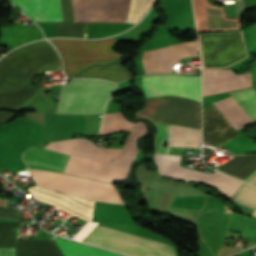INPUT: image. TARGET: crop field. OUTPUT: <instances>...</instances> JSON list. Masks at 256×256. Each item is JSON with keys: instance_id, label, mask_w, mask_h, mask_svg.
<instances>
[{"instance_id": "1", "label": "crop field", "mask_w": 256, "mask_h": 256, "mask_svg": "<svg viewBox=\"0 0 256 256\" xmlns=\"http://www.w3.org/2000/svg\"><path fill=\"white\" fill-rule=\"evenodd\" d=\"M71 155L63 173L110 183L125 178L137 150L136 138H127L122 149H100L77 138L52 142L43 147Z\"/></svg>"}, {"instance_id": "2", "label": "crop field", "mask_w": 256, "mask_h": 256, "mask_svg": "<svg viewBox=\"0 0 256 256\" xmlns=\"http://www.w3.org/2000/svg\"><path fill=\"white\" fill-rule=\"evenodd\" d=\"M40 64L60 65L46 41L20 47L0 60V109L14 110L38 92L30 83Z\"/></svg>"}, {"instance_id": "3", "label": "crop field", "mask_w": 256, "mask_h": 256, "mask_svg": "<svg viewBox=\"0 0 256 256\" xmlns=\"http://www.w3.org/2000/svg\"><path fill=\"white\" fill-rule=\"evenodd\" d=\"M116 84L100 79H72L61 87L56 113H102Z\"/></svg>"}, {"instance_id": "4", "label": "crop field", "mask_w": 256, "mask_h": 256, "mask_svg": "<svg viewBox=\"0 0 256 256\" xmlns=\"http://www.w3.org/2000/svg\"><path fill=\"white\" fill-rule=\"evenodd\" d=\"M62 56L64 70L67 76L72 77L78 70L90 63L107 62L120 58L122 55L112 51L117 43L115 39L101 40H50Z\"/></svg>"}, {"instance_id": "5", "label": "crop field", "mask_w": 256, "mask_h": 256, "mask_svg": "<svg viewBox=\"0 0 256 256\" xmlns=\"http://www.w3.org/2000/svg\"><path fill=\"white\" fill-rule=\"evenodd\" d=\"M37 185L99 201L122 203L114 185L53 172L28 170Z\"/></svg>"}, {"instance_id": "6", "label": "crop field", "mask_w": 256, "mask_h": 256, "mask_svg": "<svg viewBox=\"0 0 256 256\" xmlns=\"http://www.w3.org/2000/svg\"><path fill=\"white\" fill-rule=\"evenodd\" d=\"M84 242L135 256H174L171 245L97 225Z\"/></svg>"}, {"instance_id": "7", "label": "crop field", "mask_w": 256, "mask_h": 256, "mask_svg": "<svg viewBox=\"0 0 256 256\" xmlns=\"http://www.w3.org/2000/svg\"><path fill=\"white\" fill-rule=\"evenodd\" d=\"M155 158L158 162V171L162 175L185 181H203L215 186L229 197L242 184L240 181L229 178L217 172L208 174L181 167L178 165L180 156L155 154Z\"/></svg>"}, {"instance_id": "8", "label": "crop field", "mask_w": 256, "mask_h": 256, "mask_svg": "<svg viewBox=\"0 0 256 256\" xmlns=\"http://www.w3.org/2000/svg\"><path fill=\"white\" fill-rule=\"evenodd\" d=\"M228 94L229 97L211 106L235 131L256 119V92L248 88Z\"/></svg>"}, {"instance_id": "9", "label": "crop field", "mask_w": 256, "mask_h": 256, "mask_svg": "<svg viewBox=\"0 0 256 256\" xmlns=\"http://www.w3.org/2000/svg\"><path fill=\"white\" fill-rule=\"evenodd\" d=\"M146 97L175 95L200 102V77L179 75H149L143 77Z\"/></svg>"}, {"instance_id": "10", "label": "crop field", "mask_w": 256, "mask_h": 256, "mask_svg": "<svg viewBox=\"0 0 256 256\" xmlns=\"http://www.w3.org/2000/svg\"><path fill=\"white\" fill-rule=\"evenodd\" d=\"M130 0H72L75 22H125Z\"/></svg>"}, {"instance_id": "11", "label": "crop field", "mask_w": 256, "mask_h": 256, "mask_svg": "<svg viewBox=\"0 0 256 256\" xmlns=\"http://www.w3.org/2000/svg\"><path fill=\"white\" fill-rule=\"evenodd\" d=\"M198 31L239 29L241 19L225 18L223 9L208 0H193Z\"/></svg>"}, {"instance_id": "12", "label": "crop field", "mask_w": 256, "mask_h": 256, "mask_svg": "<svg viewBox=\"0 0 256 256\" xmlns=\"http://www.w3.org/2000/svg\"><path fill=\"white\" fill-rule=\"evenodd\" d=\"M203 96L251 86L250 73L235 76L231 70L202 69Z\"/></svg>"}, {"instance_id": "13", "label": "crop field", "mask_w": 256, "mask_h": 256, "mask_svg": "<svg viewBox=\"0 0 256 256\" xmlns=\"http://www.w3.org/2000/svg\"><path fill=\"white\" fill-rule=\"evenodd\" d=\"M230 213L204 206L196 226L203 240L222 246L225 239Z\"/></svg>"}, {"instance_id": "14", "label": "crop field", "mask_w": 256, "mask_h": 256, "mask_svg": "<svg viewBox=\"0 0 256 256\" xmlns=\"http://www.w3.org/2000/svg\"><path fill=\"white\" fill-rule=\"evenodd\" d=\"M203 118L205 144L218 147L238 136L210 105L203 108Z\"/></svg>"}, {"instance_id": "15", "label": "crop field", "mask_w": 256, "mask_h": 256, "mask_svg": "<svg viewBox=\"0 0 256 256\" xmlns=\"http://www.w3.org/2000/svg\"><path fill=\"white\" fill-rule=\"evenodd\" d=\"M33 21H62L59 0H10Z\"/></svg>"}, {"instance_id": "16", "label": "crop field", "mask_w": 256, "mask_h": 256, "mask_svg": "<svg viewBox=\"0 0 256 256\" xmlns=\"http://www.w3.org/2000/svg\"><path fill=\"white\" fill-rule=\"evenodd\" d=\"M68 157V155L39 148H29L23 154V160L28 169L36 168L61 173L64 170Z\"/></svg>"}, {"instance_id": "17", "label": "crop field", "mask_w": 256, "mask_h": 256, "mask_svg": "<svg viewBox=\"0 0 256 256\" xmlns=\"http://www.w3.org/2000/svg\"><path fill=\"white\" fill-rule=\"evenodd\" d=\"M218 170L256 185V155L233 156Z\"/></svg>"}, {"instance_id": "18", "label": "crop field", "mask_w": 256, "mask_h": 256, "mask_svg": "<svg viewBox=\"0 0 256 256\" xmlns=\"http://www.w3.org/2000/svg\"><path fill=\"white\" fill-rule=\"evenodd\" d=\"M90 220L106 223L134 224L124 205H113L95 201H92Z\"/></svg>"}, {"instance_id": "19", "label": "crop field", "mask_w": 256, "mask_h": 256, "mask_svg": "<svg viewBox=\"0 0 256 256\" xmlns=\"http://www.w3.org/2000/svg\"><path fill=\"white\" fill-rule=\"evenodd\" d=\"M63 23H56L57 37L87 38V23H74L71 0H60Z\"/></svg>"}, {"instance_id": "20", "label": "crop field", "mask_w": 256, "mask_h": 256, "mask_svg": "<svg viewBox=\"0 0 256 256\" xmlns=\"http://www.w3.org/2000/svg\"><path fill=\"white\" fill-rule=\"evenodd\" d=\"M57 246L64 256H114V252L102 250L99 248L70 242L56 237ZM115 256H123L116 253Z\"/></svg>"}, {"instance_id": "21", "label": "crop field", "mask_w": 256, "mask_h": 256, "mask_svg": "<svg viewBox=\"0 0 256 256\" xmlns=\"http://www.w3.org/2000/svg\"><path fill=\"white\" fill-rule=\"evenodd\" d=\"M131 76V73L121 67V64L90 67L77 77H97L110 81H120Z\"/></svg>"}, {"instance_id": "22", "label": "crop field", "mask_w": 256, "mask_h": 256, "mask_svg": "<svg viewBox=\"0 0 256 256\" xmlns=\"http://www.w3.org/2000/svg\"><path fill=\"white\" fill-rule=\"evenodd\" d=\"M201 143L200 130L171 125V146L193 147Z\"/></svg>"}, {"instance_id": "23", "label": "crop field", "mask_w": 256, "mask_h": 256, "mask_svg": "<svg viewBox=\"0 0 256 256\" xmlns=\"http://www.w3.org/2000/svg\"><path fill=\"white\" fill-rule=\"evenodd\" d=\"M230 199L254 209L256 206V187L244 183Z\"/></svg>"}, {"instance_id": "24", "label": "crop field", "mask_w": 256, "mask_h": 256, "mask_svg": "<svg viewBox=\"0 0 256 256\" xmlns=\"http://www.w3.org/2000/svg\"><path fill=\"white\" fill-rule=\"evenodd\" d=\"M131 125L123 120L119 113L106 114L102 132L130 128Z\"/></svg>"}, {"instance_id": "25", "label": "crop field", "mask_w": 256, "mask_h": 256, "mask_svg": "<svg viewBox=\"0 0 256 256\" xmlns=\"http://www.w3.org/2000/svg\"><path fill=\"white\" fill-rule=\"evenodd\" d=\"M159 131L155 136V151L160 152V124H157ZM166 139V147L162 148ZM170 148V125L161 124V152L168 153Z\"/></svg>"}, {"instance_id": "26", "label": "crop field", "mask_w": 256, "mask_h": 256, "mask_svg": "<svg viewBox=\"0 0 256 256\" xmlns=\"http://www.w3.org/2000/svg\"><path fill=\"white\" fill-rule=\"evenodd\" d=\"M96 222H87V224L73 237V239H77L82 241L85 236L94 228Z\"/></svg>"}, {"instance_id": "27", "label": "crop field", "mask_w": 256, "mask_h": 256, "mask_svg": "<svg viewBox=\"0 0 256 256\" xmlns=\"http://www.w3.org/2000/svg\"><path fill=\"white\" fill-rule=\"evenodd\" d=\"M0 256H14V248H0Z\"/></svg>"}, {"instance_id": "28", "label": "crop field", "mask_w": 256, "mask_h": 256, "mask_svg": "<svg viewBox=\"0 0 256 256\" xmlns=\"http://www.w3.org/2000/svg\"><path fill=\"white\" fill-rule=\"evenodd\" d=\"M13 113L10 112H0V122L9 118Z\"/></svg>"}, {"instance_id": "29", "label": "crop field", "mask_w": 256, "mask_h": 256, "mask_svg": "<svg viewBox=\"0 0 256 256\" xmlns=\"http://www.w3.org/2000/svg\"><path fill=\"white\" fill-rule=\"evenodd\" d=\"M249 242H256V231L254 232V234L250 238Z\"/></svg>"}, {"instance_id": "30", "label": "crop field", "mask_w": 256, "mask_h": 256, "mask_svg": "<svg viewBox=\"0 0 256 256\" xmlns=\"http://www.w3.org/2000/svg\"><path fill=\"white\" fill-rule=\"evenodd\" d=\"M233 36L243 35L241 31L232 33Z\"/></svg>"}, {"instance_id": "31", "label": "crop field", "mask_w": 256, "mask_h": 256, "mask_svg": "<svg viewBox=\"0 0 256 256\" xmlns=\"http://www.w3.org/2000/svg\"><path fill=\"white\" fill-rule=\"evenodd\" d=\"M251 215L256 216V210Z\"/></svg>"}, {"instance_id": "32", "label": "crop field", "mask_w": 256, "mask_h": 256, "mask_svg": "<svg viewBox=\"0 0 256 256\" xmlns=\"http://www.w3.org/2000/svg\"><path fill=\"white\" fill-rule=\"evenodd\" d=\"M238 255V253L237 254H234V255H232V256H237Z\"/></svg>"}]
</instances>
